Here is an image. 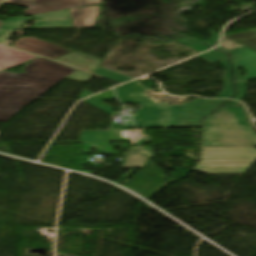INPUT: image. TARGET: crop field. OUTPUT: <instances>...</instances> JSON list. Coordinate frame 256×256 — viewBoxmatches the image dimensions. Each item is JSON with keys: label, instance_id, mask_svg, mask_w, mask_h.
<instances>
[{"label": "crop field", "instance_id": "crop-field-8", "mask_svg": "<svg viewBox=\"0 0 256 256\" xmlns=\"http://www.w3.org/2000/svg\"><path fill=\"white\" fill-rule=\"evenodd\" d=\"M37 56L0 45V71L21 65Z\"/></svg>", "mask_w": 256, "mask_h": 256}, {"label": "crop field", "instance_id": "crop-field-7", "mask_svg": "<svg viewBox=\"0 0 256 256\" xmlns=\"http://www.w3.org/2000/svg\"><path fill=\"white\" fill-rule=\"evenodd\" d=\"M228 55L217 51V50H213V51H209L206 52L202 55H199L197 57H200L202 59L208 60L210 62H217L220 59H223L225 57H227ZM221 63L224 68L226 69L225 74H224V79H223V83H224V89L223 91L219 94V96L217 98H230L231 96L234 95L233 92V86H232V80H231V74H230V67H229V61L228 58L225 60H222ZM222 66V67H223Z\"/></svg>", "mask_w": 256, "mask_h": 256}, {"label": "crop field", "instance_id": "crop-field-1", "mask_svg": "<svg viewBox=\"0 0 256 256\" xmlns=\"http://www.w3.org/2000/svg\"><path fill=\"white\" fill-rule=\"evenodd\" d=\"M90 77L42 57L24 66L23 73L0 72V121H7L63 78L87 82Z\"/></svg>", "mask_w": 256, "mask_h": 256}, {"label": "crop field", "instance_id": "crop-field-17", "mask_svg": "<svg viewBox=\"0 0 256 256\" xmlns=\"http://www.w3.org/2000/svg\"><path fill=\"white\" fill-rule=\"evenodd\" d=\"M90 149H97L99 152L110 153L109 143H84L83 153H90Z\"/></svg>", "mask_w": 256, "mask_h": 256}, {"label": "crop field", "instance_id": "crop-field-5", "mask_svg": "<svg viewBox=\"0 0 256 256\" xmlns=\"http://www.w3.org/2000/svg\"><path fill=\"white\" fill-rule=\"evenodd\" d=\"M5 2L29 7L24 11L25 15L101 4V0H6Z\"/></svg>", "mask_w": 256, "mask_h": 256}, {"label": "crop field", "instance_id": "crop-field-6", "mask_svg": "<svg viewBox=\"0 0 256 256\" xmlns=\"http://www.w3.org/2000/svg\"><path fill=\"white\" fill-rule=\"evenodd\" d=\"M12 46L52 59L74 52L33 37L21 38Z\"/></svg>", "mask_w": 256, "mask_h": 256}, {"label": "crop field", "instance_id": "crop-field-14", "mask_svg": "<svg viewBox=\"0 0 256 256\" xmlns=\"http://www.w3.org/2000/svg\"><path fill=\"white\" fill-rule=\"evenodd\" d=\"M80 142H110V133H105V131L82 132Z\"/></svg>", "mask_w": 256, "mask_h": 256}, {"label": "crop field", "instance_id": "crop-field-16", "mask_svg": "<svg viewBox=\"0 0 256 256\" xmlns=\"http://www.w3.org/2000/svg\"><path fill=\"white\" fill-rule=\"evenodd\" d=\"M32 17H34L35 20H44V19L68 18L70 16H69V10H64V11H58V12H50V13H44L39 15H33Z\"/></svg>", "mask_w": 256, "mask_h": 256}, {"label": "crop field", "instance_id": "crop-field-20", "mask_svg": "<svg viewBox=\"0 0 256 256\" xmlns=\"http://www.w3.org/2000/svg\"><path fill=\"white\" fill-rule=\"evenodd\" d=\"M0 157H2V156H0ZM4 158H6V157H4ZM8 159H10V158H8ZM13 160V159H12Z\"/></svg>", "mask_w": 256, "mask_h": 256}, {"label": "crop field", "instance_id": "crop-field-13", "mask_svg": "<svg viewBox=\"0 0 256 256\" xmlns=\"http://www.w3.org/2000/svg\"><path fill=\"white\" fill-rule=\"evenodd\" d=\"M57 28H73L71 24V20L63 19V20L38 22L36 26L28 29H57Z\"/></svg>", "mask_w": 256, "mask_h": 256}, {"label": "crop field", "instance_id": "crop-field-3", "mask_svg": "<svg viewBox=\"0 0 256 256\" xmlns=\"http://www.w3.org/2000/svg\"><path fill=\"white\" fill-rule=\"evenodd\" d=\"M200 158L195 171L207 174H244L256 160V149L201 148Z\"/></svg>", "mask_w": 256, "mask_h": 256}, {"label": "crop field", "instance_id": "crop-field-11", "mask_svg": "<svg viewBox=\"0 0 256 256\" xmlns=\"http://www.w3.org/2000/svg\"><path fill=\"white\" fill-rule=\"evenodd\" d=\"M31 20L33 18H15L4 22L0 21V43L7 41L14 29L23 27L26 22Z\"/></svg>", "mask_w": 256, "mask_h": 256}, {"label": "crop field", "instance_id": "crop-field-21", "mask_svg": "<svg viewBox=\"0 0 256 256\" xmlns=\"http://www.w3.org/2000/svg\"><path fill=\"white\" fill-rule=\"evenodd\" d=\"M1 1V0H0Z\"/></svg>", "mask_w": 256, "mask_h": 256}, {"label": "crop field", "instance_id": "crop-field-19", "mask_svg": "<svg viewBox=\"0 0 256 256\" xmlns=\"http://www.w3.org/2000/svg\"><path fill=\"white\" fill-rule=\"evenodd\" d=\"M112 128H134L133 125L132 126H127V125H113Z\"/></svg>", "mask_w": 256, "mask_h": 256}, {"label": "crop field", "instance_id": "crop-field-18", "mask_svg": "<svg viewBox=\"0 0 256 256\" xmlns=\"http://www.w3.org/2000/svg\"><path fill=\"white\" fill-rule=\"evenodd\" d=\"M239 102L236 101H228L226 104H224L222 107H235Z\"/></svg>", "mask_w": 256, "mask_h": 256}, {"label": "crop field", "instance_id": "crop-field-10", "mask_svg": "<svg viewBox=\"0 0 256 256\" xmlns=\"http://www.w3.org/2000/svg\"><path fill=\"white\" fill-rule=\"evenodd\" d=\"M55 60L78 67L80 69L86 70L91 73H93V71L95 70V68L100 62L98 59H95L77 52L71 53L69 55L60 57Z\"/></svg>", "mask_w": 256, "mask_h": 256}, {"label": "crop field", "instance_id": "crop-field-2", "mask_svg": "<svg viewBox=\"0 0 256 256\" xmlns=\"http://www.w3.org/2000/svg\"><path fill=\"white\" fill-rule=\"evenodd\" d=\"M144 91L137 80L116 87L117 98L122 104L140 106L137 117L133 118L136 128L201 127V119L226 101L194 100L193 103L168 106L167 103L156 104L142 93Z\"/></svg>", "mask_w": 256, "mask_h": 256}, {"label": "crop field", "instance_id": "crop-field-9", "mask_svg": "<svg viewBox=\"0 0 256 256\" xmlns=\"http://www.w3.org/2000/svg\"><path fill=\"white\" fill-rule=\"evenodd\" d=\"M100 6L70 9L71 20L74 28L95 27Z\"/></svg>", "mask_w": 256, "mask_h": 256}, {"label": "crop field", "instance_id": "crop-field-4", "mask_svg": "<svg viewBox=\"0 0 256 256\" xmlns=\"http://www.w3.org/2000/svg\"><path fill=\"white\" fill-rule=\"evenodd\" d=\"M233 66V76L237 95L232 99L240 100L246 94L245 80L256 78V52L247 48H238L230 52ZM243 68L247 74L239 79L238 68Z\"/></svg>", "mask_w": 256, "mask_h": 256}, {"label": "crop field", "instance_id": "crop-field-12", "mask_svg": "<svg viewBox=\"0 0 256 256\" xmlns=\"http://www.w3.org/2000/svg\"><path fill=\"white\" fill-rule=\"evenodd\" d=\"M114 99V95H113V91L110 90L107 93H101L98 94L96 96H93L87 100H85V102L97 107L98 109L112 115L113 114V110L114 107L102 102L104 100H111Z\"/></svg>", "mask_w": 256, "mask_h": 256}, {"label": "crop field", "instance_id": "crop-field-15", "mask_svg": "<svg viewBox=\"0 0 256 256\" xmlns=\"http://www.w3.org/2000/svg\"><path fill=\"white\" fill-rule=\"evenodd\" d=\"M95 74L100 75V76H103V77L108 78V79H110V80L116 81V82H118V83H121V82L130 80V79H133V78H130V77H127V76L118 74V73H116V72H113V71H110V70L101 68V67H99V68L97 69V71L95 72Z\"/></svg>", "mask_w": 256, "mask_h": 256}]
</instances>
